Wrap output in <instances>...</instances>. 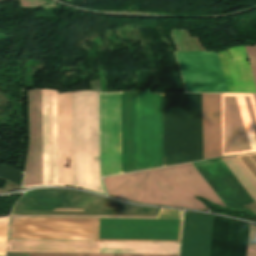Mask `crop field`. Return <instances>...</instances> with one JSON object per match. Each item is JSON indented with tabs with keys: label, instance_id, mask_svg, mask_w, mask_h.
<instances>
[{
	"label": "crop field",
	"instance_id": "crop-field-4",
	"mask_svg": "<svg viewBox=\"0 0 256 256\" xmlns=\"http://www.w3.org/2000/svg\"><path fill=\"white\" fill-rule=\"evenodd\" d=\"M109 195L126 200L206 210L198 196L224 206L192 163L107 177Z\"/></svg>",
	"mask_w": 256,
	"mask_h": 256
},
{
	"label": "crop field",
	"instance_id": "crop-field-12",
	"mask_svg": "<svg viewBox=\"0 0 256 256\" xmlns=\"http://www.w3.org/2000/svg\"><path fill=\"white\" fill-rule=\"evenodd\" d=\"M213 217L186 212L180 256H209Z\"/></svg>",
	"mask_w": 256,
	"mask_h": 256
},
{
	"label": "crop field",
	"instance_id": "crop-field-2",
	"mask_svg": "<svg viewBox=\"0 0 256 256\" xmlns=\"http://www.w3.org/2000/svg\"><path fill=\"white\" fill-rule=\"evenodd\" d=\"M29 122L23 186H73L71 93L29 91Z\"/></svg>",
	"mask_w": 256,
	"mask_h": 256
},
{
	"label": "crop field",
	"instance_id": "crop-field-17",
	"mask_svg": "<svg viewBox=\"0 0 256 256\" xmlns=\"http://www.w3.org/2000/svg\"><path fill=\"white\" fill-rule=\"evenodd\" d=\"M8 228V217L0 219V256H4L6 236Z\"/></svg>",
	"mask_w": 256,
	"mask_h": 256
},
{
	"label": "crop field",
	"instance_id": "crop-field-20",
	"mask_svg": "<svg viewBox=\"0 0 256 256\" xmlns=\"http://www.w3.org/2000/svg\"><path fill=\"white\" fill-rule=\"evenodd\" d=\"M22 7H38L41 4L48 3L44 0H20Z\"/></svg>",
	"mask_w": 256,
	"mask_h": 256
},
{
	"label": "crop field",
	"instance_id": "crop-field-19",
	"mask_svg": "<svg viewBox=\"0 0 256 256\" xmlns=\"http://www.w3.org/2000/svg\"><path fill=\"white\" fill-rule=\"evenodd\" d=\"M181 211L160 209L155 218L181 219Z\"/></svg>",
	"mask_w": 256,
	"mask_h": 256
},
{
	"label": "crop field",
	"instance_id": "crop-field-14",
	"mask_svg": "<svg viewBox=\"0 0 256 256\" xmlns=\"http://www.w3.org/2000/svg\"><path fill=\"white\" fill-rule=\"evenodd\" d=\"M221 160L256 202V182L237 157L232 156Z\"/></svg>",
	"mask_w": 256,
	"mask_h": 256
},
{
	"label": "crop field",
	"instance_id": "crop-field-13",
	"mask_svg": "<svg viewBox=\"0 0 256 256\" xmlns=\"http://www.w3.org/2000/svg\"><path fill=\"white\" fill-rule=\"evenodd\" d=\"M203 159L221 156V94H202Z\"/></svg>",
	"mask_w": 256,
	"mask_h": 256
},
{
	"label": "crop field",
	"instance_id": "crop-field-6",
	"mask_svg": "<svg viewBox=\"0 0 256 256\" xmlns=\"http://www.w3.org/2000/svg\"><path fill=\"white\" fill-rule=\"evenodd\" d=\"M165 166L202 159L201 94L164 95Z\"/></svg>",
	"mask_w": 256,
	"mask_h": 256
},
{
	"label": "crop field",
	"instance_id": "crop-field-9",
	"mask_svg": "<svg viewBox=\"0 0 256 256\" xmlns=\"http://www.w3.org/2000/svg\"><path fill=\"white\" fill-rule=\"evenodd\" d=\"M187 92H227L215 52H176Z\"/></svg>",
	"mask_w": 256,
	"mask_h": 256
},
{
	"label": "crop field",
	"instance_id": "crop-field-18",
	"mask_svg": "<svg viewBox=\"0 0 256 256\" xmlns=\"http://www.w3.org/2000/svg\"><path fill=\"white\" fill-rule=\"evenodd\" d=\"M247 256H256V227L250 224Z\"/></svg>",
	"mask_w": 256,
	"mask_h": 256
},
{
	"label": "crop field",
	"instance_id": "crop-field-7",
	"mask_svg": "<svg viewBox=\"0 0 256 256\" xmlns=\"http://www.w3.org/2000/svg\"><path fill=\"white\" fill-rule=\"evenodd\" d=\"M101 242L8 240L7 252L100 253ZM179 243L102 242L101 253L178 254ZM29 256H178L139 254H54Z\"/></svg>",
	"mask_w": 256,
	"mask_h": 256
},
{
	"label": "crop field",
	"instance_id": "crop-field-10",
	"mask_svg": "<svg viewBox=\"0 0 256 256\" xmlns=\"http://www.w3.org/2000/svg\"><path fill=\"white\" fill-rule=\"evenodd\" d=\"M222 162L216 159L193 164L226 207L244 209L242 205L253 200Z\"/></svg>",
	"mask_w": 256,
	"mask_h": 256
},
{
	"label": "crop field",
	"instance_id": "crop-field-15",
	"mask_svg": "<svg viewBox=\"0 0 256 256\" xmlns=\"http://www.w3.org/2000/svg\"><path fill=\"white\" fill-rule=\"evenodd\" d=\"M0 177L21 186L23 174L18 170L0 165Z\"/></svg>",
	"mask_w": 256,
	"mask_h": 256
},
{
	"label": "crop field",
	"instance_id": "crop-field-8",
	"mask_svg": "<svg viewBox=\"0 0 256 256\" xmlns=\"http://www.w3.org/2000/svg\"><path fill=\"white\" fill-rule=\"evenodd\" d=\"M256 151V95L222 94V156Z\"/></svg>",
	"mask_w": 256,
	"mask_h": 256
},
{
	"label": "crop field",
	"instance_id": "crop-field-3",
	"mask_svg": "<svg viewBox=\"0 0 256 256\" xmlns=\"http://www.w3.org/2000/svg\"><path fill=\"white\" fill-rule=\"evenodd\" d=\"M179 220L10 218L8 239L177 241ZM118 239V240H98ZM181 220L179 225L180 238ZM140 241V242H158Z\"/></svg>",
	"mask_w": 256,
	"mask_h": 256
},
{
	"label": "crop field",
	"instance_id": "crop-field-5",
	"mask_svg": "<svg viewBox=\"0 0 256 256\" xmlns=\"http://www.w3.org/2000/svg\"><path fill=\"white\" fill-rule=\"evenodd\" d=\"M122 173L164 166L163 95L121 92Z\"/></svg>",
	"mask_w": 256,
	"mask_h": 256
},
{
	"label": "crop field",
	"instance_id": "crop-field-16",
	"mask_svg": "<svg viewBox=\"0 0 256 256\" xmlns=\"http://www.w3.org/2000/svg\"><path fill=\"white\" fill-rule=\"evenodd\" d=\"M237 157L256 180V153L239 155Z\"/></svg>",
	"mask_w": 256,
	"mask_h": 256
},
{
	"label": "crop field",
	"instance_id": "crop-field-1",
	"mask_svg": "<svg viewBox=\"0 0 256 256\" xmlns=\"http://www.w3.org/2000/svg\"><path fill=\"white\" fill-rule=\"evenodd\" d=\"M74 187L103 192L99 93H72ZM101 177L121 173L120 92L100 93Z\"/></svg>",
	"mask_w": 256,
	"mask_h": 256
},
{
	"label": "crop field",
	"instance_id": "crop-field-11",
	"mask_svg": "<svg viewBox=\"0 0 256 256\" xmlns=\"http://www.w3.org/2000/svg\"><path fill=\"white\" fill-rule=\"evenodd\" d=\"M237 47V46H236ZM249 64L251 66L254 83L256 87V46H244ZM244 47L229 49L231 61L228 53L224 50L227 57L232 79L235 86V93H256L250 67L247 63ZM221 52V51H220ZM223 52L219 53V61L228 87V91H235L228 68L227 60Z\"/></svg>",
	"mask_w": 256,
	"mask_h": 256
}]
</instances>
